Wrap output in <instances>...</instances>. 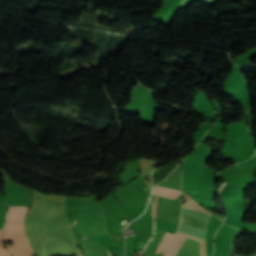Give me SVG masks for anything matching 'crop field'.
I'll return each mask as SVG.
<instances>
[{
	"instance_id": "obj_5",
	"label": "crop field",
	"mask_w": 256,
	"mask_h": 256,
	"mask_svg": "<svg viewBox=\"0 0 256 256\" xmlns=\"http://www.w3.org/2000/svg\"><path fill=\"white\" fill-rule=\"evenodd\" d=\"M152 194L174 199L175 197H177L180 194V191L173 190V189H166V188L156 186Z\"/></svg>"
},
{
	"instance_id": "obj_4",
	"label": "crop field",
	"mask_w": 256,
	"mask_h": 256,
	"mask_svg": "<svg viewBox=\"0 0 256 256\" xmlns=\"http://www.w3.org/2000/svg\"><path fill=\"white\" fill-rule=\"evenodd\" d=\"M221 225V222L215 221V220H210L208 224V228L206 231V252L207 256H210L213 252V242L212 238L214 233L217 231L219 226Z\"/></svg>"
},
{
	"instance_id": "obj_7",
	"label": "crop field",
	"mask_w": 256,
	"mask_h": 256,
	"mask_svg": "<svg viewBox=\"0 0 256 256\" xmlns=\"http://www.w3.org/2000/svg\"><path fill=\"white\" fill-rule=\"evenodd\" d=\"M157 201V200H156Z\"/></svg>"
},
{
	"instance_id": "obj_6",
	"label": "crop field",
	"mask_w": 256,
	"mask_h": 256,
	"mask_svg": "<svg viewBox=\"0 0 256 256\" xmlns=\"http://www.w3.org/2000/svg\"><path fill=\"white\" fill-rule=\"evenodd\" d=\"M1 238V230H0V256H11L9 252L3 247Z\"/></svg>"
},
{
	"instance_id": "obj_1",
	"label": "crop field",
	"mask_w": 256,
	"mask_h": 256,
	"mask_svg": "<svg viewBox=\"0 0 256 256\" xmlns=\"http://www.w3.org/2000/svg\"><path fill=\"white\" fill-rule=\"evenodd\" d=\"M28 208L9 209L3 230L4 241H12L6 246L12 256H33V250L23 229V219Z\"/></svg>"
},
{
	"instance_id": "obj_2",
	"label": "crop field",
	"mask_w": 256,
	"mask_h": 256,
	"mask_svg": "<svg viewBox=\"0 0 256 256\" xmlns=\"http://www.w3.org/2000/svg\"><path fill=\"white\" fill-rule=\"evenodd\" d=\"M184 197L186 199V201L183 205L184 208L191 209V210H194V211L212 216V214H210L209 212L204 210L201 206H199L187 194H184ZM181 221L185 222V223H188V224H191V225H194L196 227L205 229V230H206V227H207V224H208L207 221H203V220H199V219H195V218H191V217H187V216H183V215H182ZM177 234L200 241V254H201V256H206L205 241L204 240L197 239V238H194V237H191V236H188V235H185V234H181V233H178V232H177ZM181 236H177V237L175 236L176 237V239L174 238L175 242L173 240L174 244L172 242L173 246H172V244L170 245L169 249L171 248V246H172V248L170 249V251L168 249L169 253L167 251L168 254H166L165 256H175L177 254L178 250L180 249L182 243L185 240V237H181Z\"/></svg>"
},
{
	"instance_id": "obj_3",
	"label": "crop field",
	"mask_w": 256,
	"mask_h": 256,
	"mask_svg": "<svg viewBox=\"0 0 256 256\" xmlns=\"http://www.w3.org/2000/svg\"><path fill=\"white\" fill-rule=\"evenodd\" d=\"M156 221V227L157 228H160L162 230H165V231H168V232H171V233H175L176 229H177V225H174L170 222H167L165 220H162V219H155ZM166 232L165 236L163 237L156 253L158 252H165L166 248L168 247V245L170 244L172 238H173V234H170Z\"/></svg>"
}]
</instances>
